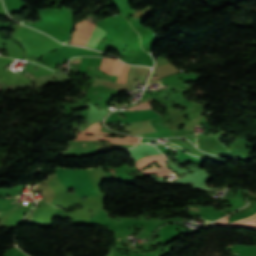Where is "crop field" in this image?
<instances>
[{"instance_id":"obj_13","label":"crop field","mask_w":256,"mask_h":256,"mask_svg":"<svg viewBox=\"0 0 256 256\" xmlns=\"http://www.w3.org/2000/svg\"><path fill=\"white\" fill-rule=\"evenodd\" d=\"M60 63H63V62H60ZM60 63H57V64H60Z\"/></svg>"},{"instance_id":"obj_1","label":"crop field","mask_w":256,"mask_h":256,"mask_svg":"<svg viewBox=\"0 0 256 256\" xmlns=\"http://www.w3.org/2000/svg\"><path fill=\"white\" fill-rule=\"evenodd\" d=\"M151 161H153V162L165 161V157L163 155H154V156L145 157V158H142V159L138 160L136 162V165L139 169H141V168L145 167L147 164H149ZM159 163L161 164V166L163 168L156 169L155 166L152 165L153 168L145 169L144 171H142V173L144 175L157 173V175H160V176H165V175H168V174L172 173L171 171H169L165 168L163 162H159Z\"/></svg>"},{"instance_id":"obj_7","label":"crop field","mask_w":256,"mask_h":256,"mask_svg":"<svg viewBox=\"0 0 256 256\" xmlns=\"http://www.w3.org/2000/svg\"><path fill=\"white\" fill-rule=\"evenodd\" d=\"M129 68V65H124L121 73H120V76L117 80V83H126V76H127V70Z\"/></svg>"},{"instance_id":"obj_9","label":"crop field","mask_w":256,"mask_h":256,"mask_svg":"<svg viewBox=\"0 0 256 256\" xmlns=\"http://www.w3.org/2000/svg\"><path fill=\"white\" fill-rule=\"evenodd\" d=\"M229 216L214 222L215 225H227Z\"/></svg>"},{"instance_id":"obj_14","label":"crop field","mask_w":256,"mask_h":256,"mask_svg":"<svg viewBox=\"0 0 256 256\" xmlns=\"http://www.w3.org/2000/svg\"><path fill=\"white\" fill-rule=\"evenodd\" d=\"M10 203H14V202H10Z\"/></svg>"},{"instance_id":"obj_2","label":"crop field","mask_w":256,"mask_h":256,"mask_svg":"<svg viewBox=\"0 0 256 256\" xmlns=\"http://www.w3.org/2000/svg\"><path fill=\"white\" fill-rule=\"evenodd\" d=\"M126 115L127 119H122L123 123L132 122V121H140V120H147L160 117L157 113H153L152 110H145V111H120Z\"/></svg>"},{"instance_id":"obj_3","label":"crop field","mask_w":256,"mask_h":256,"mask_svg":"<svg viewBox=\"0 0 256 256\" xmlns=\"http://www.w3.org/2000/svg\"><path fill=\"white\" fill-rule=\"evenodd\" d=\"M77 134V133H76ZM140 138L135 137H106V136H86L82 134H77L75 140H109L113 143H126V144H137Z\"/></svg>"},{"instance_id":"obj_11","label":"crop field","mask_w":256,"mask_h":256,"mask_svg":"<svg viewBox=\"0 0 256 256\" xmlns=\"http://www.w3.org/2000/svg\"><path fill=\"white\" fill-rule=\"evenodd\" d=\"M80 61H81V57H77L71 60V62H74V63H80Z\"/></svg>"},{"instance_id":"obj_5","label":"crop field","mask_w":256,"mask_h":256,"mask_svg":"<svg viewBox=\"0 0 256 256\" xmlns=\"http://www.w3.org/2000/svg\"><path fill=\"white\" fill-rule=\"evenodd\" d=\"M115 62H116V59L103 58L100 69H102L108 73H111Z\"/></svg>"},{"instance_id":"obj_6","label":"crop field","mask_w":256,"mask_h":256,"mask_svg":"<svg viewBox=\"0 0 256 256\" xmlns=\"http://www.w3.org/2000/svg\"><path fill=\"white\" fill-rule=\"evenodd\" d=\"M149 102H155L153 98L151 97H148L142 101H140L139 104H143V103H149ZM143 109H152L149 104H144V105H136V106H133L131 108H129L128 110H143Z\"/></svg>"},{"instance_id":"obj_15","label":"crop field","mask_w":256,"mask_h":256,"mask_svg":"<svg viewBox=\"0 0 256 256\" xmlns=\"http://www.w3.org/2000/svg\"><path fill=\"white\" fill-rule=\"evenodd\" d=\"M191 138H192V136H191ZM193 139V138H192Z\"/></svg>"},{"instance_id":"obj_8","label":"crop field","mask_w":256,"mask_h":256,"mask_svg":"<svg viewBox=\"0 0 256 256\" xmlns=\"http://www.w3.org/2000/svg\"><path fill=\"white\" fill-rule=\"evenodd\" d=\"M255 225H256V219H253V220H249L248 222L240 224V225H237V226L253 227Z\"/></svg>"},{"instance_id":"obj_12","label":"crop field","mask_w":256,"mask_h":256,"mask_svg":"<svg viewBox=\"0 0 256 256\" xmlns=\"http://www.w3.org/2000/svg\"><path fill=\"white\" fill-rule=\"evenodd\" d=\"M155 79H159L158 77H153V79L152 80H155Z\"/></svg>"},{"instance_id":"obj_10","label":"crop field","mask_w":256,"mask_h":256,"mask_svg":"<svg viewBox=\"0 0 256 256\" xmlns=\"http://www.w3.org/2000/svg\"><path fill=\"white\" fill-rule=\"evenodd\" d=\"M254 217H256V214H255V215H252V216H250V217H248V218H245V219H243V220L230 223L229 225L232 226V225H234V224H236V223H240V222H243V221H245V220L252 219V218H254Z\"/></svg>"},{"instance_id":"obj_4","label":"crop field","mask_w":256,"mask_h":256,"mask_svg":"<svg viewBox=\"0 0 256 256\" xmlns=\"http://www.w3.org/2000/svg\"><path fill=\"white\" fill-rule=\"evenodd\" d=\"M107 32H105L104 30H102L100 27H98L97 25L94 27V30L89 38V40L87 41V43L85 44V46L94 48L96 47V45L98 44L99 40L106 34Z\"/></svg>"}]
</instances>
